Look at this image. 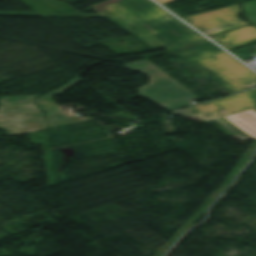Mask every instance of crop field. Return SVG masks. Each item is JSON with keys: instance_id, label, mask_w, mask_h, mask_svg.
Returning a JSON list of instances; mask_svg holds the SVG:
<instances>
[{"instance_id": "11", "label": "crop field", "mask_w": 256, "mask_h": 256, "mask_svg": "<svg viewBox=\"0 0 256 256\" xmlns=\"http://www.w3.org/2000/svg\"><path fill=\"white\" fill-rule=\"evenodd\" d=\"M242 5L248 20L256 24V0L246 2Z\"/></svg>"}, {"instance_id": "8", "label": "crop field", "mask_w": 256, "mask_h": 256, "mask_svg": "<svg viewBox=\"0 0 256 256\" xmlns=\"http://www.w3.org/2000/svg\"><path fill=\"white\" fill-rule=\"evenodd\" d=\"M0 128L10 135L21 134L34 130L47 128L44 119L0 120Z\"/></svg>"}, {"instance_id": "2", "label": "crop field", "mask_w": 256, "mask_h": 256, "mask_svg": "<svg viewBox=\"0 0 256 256\" xmlns=\"http://www.w3.org/2000/svg\"><path fill=\"white\" fill-rule=\"evenodd\" d=\"M171 52L230 94L256 86L253 71L208 39Z\"/></svg>"}, {"instance_id": "1", "label": "crop field", "mask_w": 256, "mask_h": 256, "mask_svg": "<svg viewBox=\"0 0 256 256\" xmlns=\"http://www.w3.org/2000/svg\"><path fill=\"white\" fill-rule=\"evenodd\" d=\"M90 8L153 49L205 39L151 0H108Z\"/></svg>"}, {"instance_id": "5", "label": "crop field", "mask_w": 256, "mask_h": 256, "mask_svg": "<svg viewBox=\"0 0 256 256\" xmlns=\"http://www.w3.org/2000/svg\"><path fill=\"white\" fill-rule=\"evenodd\" d=\"M241 10L238 5L184 18L185 21L195 26L206 36L210 37L246 24L237 18Z\"/></svg>"}, {"instance_id": "6", "label": "crop field", "mask_w": 256, "mask_h": 256, "mask_svg": "<svg viewBox=\"0 0 256 256\" xmlns=\"http://www.w3.org/2000/svg\"><path fill=\"white\" fill-rule=\"evenodd\" d=\"M38 95L0 98V118L43 117L32 102Z\"/></svg>"}, {"instance_id": "4", "label": "crop field", "mask_w": 256, "mask_h": 256, "mask_svg": "<svg viewBox=\"0 0 256 256\" xmlns=\"http://www.w3.org/2000/svg\"><path fill=\"white\" fill-rule=\"evenodd\" d=\"M249 108L256 111V89L178 111V113L181 115H196L202 120L214 119L241 140L245 141L252 138L223 116ZM221 110H227L228 112L221 114L219 113Z\"/></svg>"}, {"instance_id": "10", "label": "crop field", "mask_w": 256, "mask_h": 256, "mask_svg": "<svg viewBox=\"0 0 256 256\" xmlns=\"http://www.w3.org/2000/svg\"><path fill=\"white\" fill-rule=\"evenodd\" d=\"M90 119L91 118L89 117L80 118V117H76L71 114H68V115L50 117V118H47V121H48L49 128H51V127L66 125V124L90 120Z\"/></svg>"}, {"instance_id": "9", "label": "crop field", "mask_w": 256, "mask_h": 256, "mask_svg": "<svg viewBox=\"0 0 256 256\" xmlns=\"http://www.w3.org/2000/svg\"><path fill=\"white\" fill-rule=\"evenodd\" d=\"M81 78H76L75 80H73L72 82H70L69 84L59 88L58 90L44 96L41 98H38L36 100H34V102L37 104V106L42 109L43 111H47L48 113H46V116L49 115H55V114H61V113H67L69 111H62L61 109H59V106L57 104H55L52 101V98L54 95L58 94L59 92H61L62 90H64L65 88H67L68 86L72 85L73 83H75L76 81H78Z\"/></svg>"}, {"instance_id": "7", "label": "crop field", "mask_w": 256, "mask_h": 256, "mask_svg": "<svg viewBox=\"0 0 256 256\" xmlns=\"http://www.w3.org/2000/svg\"><path fill=\"white\" fill-rule=\"evenodd\" d=\"M226 49L230 50L256 41V26H247L227 34L213 37Z\"/></svg>"}, {"instance_id": "3", "label": "crop field", "mask_w": 256, "mask_h": 256, "mask_svg": "<svg viewBox=\"0 0 256 256\" xmlns=\"http://www.w3.org/2000/svg\"><path fill=\"white\" fill-rule=\"evenodd\" d=\"M127 68L146 74L151 78L148 86L140 88L142 97L172 111L184 106L193 105L199 100L171 77L153 66L147 60L124 64Z\"/></svg>"}]
</instances>
